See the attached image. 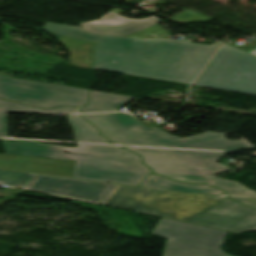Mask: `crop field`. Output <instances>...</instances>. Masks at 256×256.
<instances>
[{
	"label": "crop field",
	"instance_id": "1",
	"mask_svg": "<svg viewBox=\"0 0 256 256\" xmlns=\"http://www.w3.org/2000/svg\"><path fill=\"white\" fill-rule=\"evenodd\" d=\"M218 46L104 36L93 48V68L190 84Z\"/></svg>",
	"mask_w": 256,
	"mask_h": 256
},
{
	"label": "crop field",
	"instance_id": "2",
	"mask_svg": "<svg viewBox=\"0 0 256 256\" xmlns=\"http://www.w3.org/2000/svg\"><path fill=\"white\" fill-rule=\"evenodd\" d=\"M104 205L242 233L256 230V210L226 195H198L116 185Z\"/></svg>",
	"mask_w": 256,
	"mask_h": 256
},
{
	"label": "crop field",
	"instance_id": "3",
	"mask_svg": "<svg viewBox=\"0 0 256 256\" xmlns=\"http://www.w3.org/2000/svg\"><path fill=\"white\" fill-rule=\"evenodd\" d=\"M3 143L6 154L76 160V179L138 186L151 173L138 155L115 146L79 144L77 148H68L9 139H3Z\"/></svg>",
	"mask_w": 256,
	"mask_h": 256
},
{
	"label": "crop field",
	"instance_id": "4",
	"mask_svg": "<svg viewBox=\"0 0 256 256\" xmlns=\"http://www.w3.org/2000/svg\"><path fill=\"white\" fill-rule=\"evenodd\" d=\"M101 130L110 141L117 144L218 149L249 150L252 149L243 140L233 141L225 138L227 133L205 132L184 139L170 135L158 127H147L127 113L83 115Z\"/></svg>",
	"mask_w": 256,
	"mask_h": 256
},
{
	"label": "crop field",
	"instance_id": "5",
	"mask_svg": "<svg viewBox=\"0 0 256 256\" xmlns=\"http://www.w3.org/2000/svg\"><path fill=\"white\" fill-rule=\"evenodd\" d=\"M139 153L144 163L155 173L177 181L195 182L213 185L227 194L256 195L241 183L214 177V173L226 172L229 167L217 163L218 157L225 155L219 152L132 148Z\"/></svg>",
	"mask_w": 256,
	"mask_h": 256
},
{
	"label": "crop field",
	"instance_id": "6",
	"mask_svg": "<svg viewBox=\"0 0 256 256\" xmlns=\"http://www.w3.org/2000/svg\"><path fill=\"white\" fill-rule=\"evenodd\" d=\"M193 85L256 95V56L223 44Z\"/></svg>",
	"mask_w": 256,
	"mask_h": 256
},
{
	"label": "crop field",
	"instance_id": "7",
	"mask_svg": "<svg viewBox=\"0 0 256 256\" xmlns=\"http://www.w3.org/2000/svg\"><path fill=\"white\" fill-rule=\"evenodd\" d=\"M226 233L164 218L151 232L167 238L163 256H232L220 249Z\"/></svg>",
	"mask_w": 256,
	"mask_h": 256
},
{
	"label": "crop field",
	"instance_id": "8",
	"mask_svg": "<svg viewBox=\"0 0 256 256\" xmlns=\"http://www.w3.org/2000/svg\"><path fill=\"white\" fill-rule=\"evenodd\" d=\"M0 98L44 108L63 105L80 108L87 103L88 90L0 76Z\"/></svg>",
	"mask_w": 256,
	"mask_h": 256
},
{
	"label": "crop field",
	"instance_id": "9",
	"mask_svg": "<svg viewBox=\"0 0 256 256\" xmlns=\"http://www.w3.org/2000/svg\"><path fill=\"white\" fill-rule=\"evenodd\" d=\"M113 184L35 174L24 189L101 204Z\"/></svg>",
	"mask_w": 256,
	"mask_h": 256
},
{
	"label": "crop field",
	"instance_id": "10",
	"mask_svg": "<svg viewBox=\"0 0 256 256\" xmlns=\"http://www.w3.org/2000/svg\"><path fill=\"white\" fill-rule=\"evenodd\" d=\"M75 161L32 158L0 154V169L72 178Z\"/></svg>",
	"mask_w": 256,
	"mask_h": 256
},
{
	"label": "crop field",
	"instance_id": "11",
	"mask_svg": "<svg viewBox=\"0 0 256 256\" xmlns=\"http://www.w3.org/2000/svg\"><path fill=\"white\" fill-rule=\"evenodd\" d=\"M159 23V20L149 17L141 20H133L110 11L100 20L80 23L85 31L100 35L126 36L146 27Z\"/></svg>",
	"mask_w": 256,
	"mask_h": 256
},
{
	"label": "crop field",
	"instance_id": "12",
	"mask_svg": "<svg viewBox=\"0 0 256 256\" xmlns=\"http://www.w3.org/2000/svg\"><path fill=\"white\" fill-rule=\"evenodd\" d=\"M132 98L131 96L90 90V103L81 109V113L116 111L127 105Z\"/></svg>",
	"mask_w": 256,
	"mask_h": 256
},
{
	"label": "crop field",
	"instance_id": "13",
	"mask_svg": "<svg viewBox=\"0 0 256 256\" xmlns=\"http://www.w3.org/2000/svg\"><path fill=\"white\" fill-rule=\"evenodd\" d=\"M140 187L198 194H224V192L206 185L180 184L154 174L148 176Z\"/></svg>",
	"mask_w": 256,
	"mask_h": 256
},
{
	"label": "crop field",
	"instance_id": "14",
	"mask_svg": "<svg viewBox=\"0 0 256 256\" xmlns=\"http://www.w3.org/2000/svg\"><path fill=\"white\" fill-rule=\"evenodd\" d=\"M7 112L21 113H41V114H60V113H78L77 108L64 107L52 110H45L28 105L18 104L0 99V136L8 137L7 132Z\"/></svg>",
	"mask_w": 256,
	"mask_h": 256
},
{
	"label": "crop field",
	"instance_id": "15",
	"mask_svg": "<svg viewBox=\"0 0 256 256\" xmlns=\"http://www.w3.org/2000/svg\"><path fill=\"white\" fill-rule=\"evenodd\" d=\"M57 38L63 43V45L70 51L71 58L70 63L74 66H80L92 69L94 53L92 48L95 43L84 42L64 37Z\"/></svg>",
	"mask_w": 256,
	"mask_h": 256
},
{
	"label": "crop field",
	"instance_id": "16",
	"mask_svg": "<svg viewBox=\"0 0 256 256\" xmlns=\"http://www.w3.org/2000/svg\"><path fill=\"white\" fill-rule=\"evenodd\" d=\"M68 119L73 127L76 141L113 144L102 137L97 129L80 115L68 116Z\"/></svg>",
	"mask_w": 256,
	"mask_h": 256
},
{
	"label": "crop field",
	"instance_id": "17",
	"mask_svg": "<svg viewBox=\"0 0 256 256\" xmlns=\"http://www.w3.org/2000/svg\"><path fill=\"white\" fill-rule=\"evenodd\" d=\"M43 29L54 35L95 41V42H98L102 37L100 35H94L88 32H84L83 28L71 27V26L60 25V24L47 23L43 27Z\"/></svg>",
	"mask_w": 256,
	"mask_h": 256
},
{
	"label": "crop field",
	"instance_id": "18",
	"mask_svg": "<svg viewBox=\"0 0 256 256\" xmlns=\"http://www.w3.org/2000/svg\"><path fill=\"white\" fill-rule=\"evenodd\" d=\"M34 174L0 170V187L2 184L10 185L9 188H23Z\"/></svg>",
	"mask_w": 256,
	"mask_h": 256
},
{
	"label": "crop field",
	"instance_id": "19",
	"mask_svg": "<svg viewBox=\"0 0 256 256\" xmlns=\"http://www.w3.org/2000/svg\"><path fill=\"white\" fill-rule=\"evenodd\" d=\"M152 33L155 36H171L172 34L168 33L167 31H165L162 27H160L158 24L154 25L152 27L146 28L144 30H141L139 32H136L134 34L128 35L126 37H142L145 35H148Z\"/></svg>",
	"mask_w": 256,
	"mask_h": 256
},
{
	"label": "crop field",
	"instance_id": "20",
	"mask_svg": "<svg viewBox=\"0 0 256 256\" xmlns=\"http://www.w3.org/2000/svg\"><path fill=\"white\" fill-rule=\"evenodd\" d=\"M230 198L256 208V197L230 196Z\"/></svg>",
	"mask_w": 256,
	"mask_h": 256
},
{
	"label": "crop field",
	"instance_id": "21",
	"mask_svg": "<svg viewBox=\"0 0 256 256\" xmlns=\"http://www.w3.org/2000/svg\"><path fill=\"white\" fill-rule=\"evenodd\" d=\"M254 40H256V38H254ZM250 54L256 55V50H254V51L251 52Z\"/></svg>",
	"mask_w": 256,
	"mask_h": 256
}]
</instances>
